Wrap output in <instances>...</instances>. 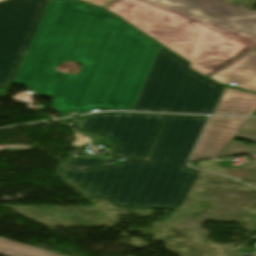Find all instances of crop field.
I'll return each mask as SVG.
<instances>
[{
	"label": "crop field",
	"mask_w": 256,
	"mask_h": 256,
	"mask_svg": "<svg viewBox=\"0 0 256 256\" xmlns=\"http://www.w3.org/2000/svg\"><path fill=\"white\" fill-rule=\"evenodd\" d=\"M86 190H89V191H96V190L93 189V188H87Z\"/></svg>",
	"instance_id": "18"
},
{
	"label": "crop field",
	"mask_w": 256,
	"mask_h": 256,
	"mask_svg": "<svg viewBox=\"0 0 256 256\" xmlns=\"http://www.w3.org/2000/svg\"><path fill=\"white\" fill-rule=\"evenodd\" d=\"M256 110V95L225 88L213 114L251 115Z\"/></svg>",
	"instance_id": "10"
},
{
	"label": "crop field",
	"mask_w": 256,
	"mask_h": 256,
	"mask_svg": "<svg viewBox=\"0 0 256 256\" xmlns=\"http://www.w3.org/2000/svg\"><path fill=\"white\" fill-rule=\"evenodd\" d=\"M166 116L99 113L88 115L82 129L111 138L113 157L146 159ZM206 118L169 115L149 161L82 169L104 163L72 157L67 165L61 163L57 175L85 199L105 198L119 208L177 209L199 171L174 163H186Z\"/></svg>",
	"instance_id": "1"
},
{
	"label": "crop field",
	"mask_w": 256,
	"mask_h": 256,
	"mask_svg": "<svg viewBox=\"0 0 256 256\" xmlns=\"http://www.w3.org/2000/svg\"><path fill=\"white\" fill-rule=\"evenodd\" d=\"M104 8L188 61L205 22L256 16L223 0H114Z\"/></svg>",
	"instance_id": "3"
},
{
	"label": "crop field",
	"mask_w": 256,
	"mask_h": 256,
	"mask_svg": "<svg viewBox=\"0 0 256 256\" xmlns=\"http://www.w3.org/2000/svg\"><path fill=\"white\" fill-rule=\"evenodd\" d=\"M256 49V48H255Z\"/></svg>",
	"instance_id": "21"
},
{
	"label": "crop field",
	"mask_w": 256,
	"mask_h": 256,
	"mask_svg": "<svg viewBox=\"0 0 256 256\" xmlns=\"http://www.w3.org/2000/svg\"><path fill=\"white\" fill-rule=\"evenodd\" d=\"M5 147H14V148H30V147H17V146H0V149Z\"/></svg>",
	"instance_id": "15"
},
{
	"label": "crop field",
	"mask_w": 256,
	"mask_h": 256,
	"mask_svg": "<svg viewBox=\"0 0 256 256\" xmlns=\"http://www.w3.org/2000/svg\"><path fill=\"white\" fill-rule=\"evenodd\" d=\"M176 164L181 165V166H186V164L183 161H177Z\"/></svg>",
	"instance_id": "16"
},
{
	"label": "crop field",
	"mask_w": 256,
	"mask_h": 256,
	"mask_svg": "<svg viewBox=\"0 0 256 256\" xmlns=\"http://www.w3.org/2000/svg\"><path fill=\"white\" fill-rule=\"evenodd\" d=\"M83 1H86V2L92 3L94 5L103 7V6H105L106 4L110 3L113 0H83Z\"/></svg>",
	"instance_id": "13"
},
{
	"label": "crop field",
	"mask_w": 256,
	"mask_h": 256,
	"mask_svg": "<svg viewBox=\"0 0 256 256\" xmlns=\"http://www.w3.org/2000/svg\"><path fill=\"white\" fill-rule=\"evenodd\" d=\"M47 1L0 2V87L11 84Z\"/></svg>",
	"instance_id": "7"
},
{
	"label": "crop field",
	"mask_w": 256,
	"mask_h": 256,
	"mask_svg": "<svg viewBox=\"0 0 256 256\" xmlns=\"http://www.w3.org/2000/svg\"><path fill=\"white\" fill-rule=\"evenodd\" d=\"M248 118L212 117L190 160L217 158Z\"/></svg>",
	"instance_id": "8"
},
{
	"label": "crop field",
	"mask_w": 256,
	"mask_h": 256,
	"mask_svg": "<svg viewBox=\"0 0 256 256\" xmlns=\"http://www.w3.org/2000/svg\"><path fill=\"white\" fill-rule=\"evenodd\" d=\"M222 89L161 48L134 111L211 114Z\"/></svg>",
	"instance_id": "5"
},
{
	"label": "crop field",
	"mask_w": 256,
	"mask_h": 256,
	"mask_svg": "<svg viewBox=\"0 0 256 256\" xmlns=\"http://www.w3.org/2000/svg\"><path fill=\"white\" fill-rule=\"evenodd\" d=\"M90 10L114 16L74 0H50L12 83L51 99L63 76L55 66L68 60Z\"/></svg>",
	"instance_id": "4"
},
{
	"label": "crop field",
	"mask_w": 256,
	"mask_h": 256,
	"mask_svg": "<svg viewBox=\"0 0 256 256\" xmlns=\"http://www.w3.org/2000/svg\"><path fill=\"white\" fill-rule=\"evenodd\" d=\"M252 115L256 116V111Z\"/></svg>",
	"instance_id": "19"
},
{
	"label": "crop field",
	"mask_w": 256,
	"mask_h": 256,
	"mask_svg": "<svg viewBox=\"0 0 256 256\" xmlns=\"http://www.w3.org/2000/svg\"><path fill=\"white\" fill-rule=\"evenodd\" d=\"M256 46V17L206 23L191 68L210 76Z\"/></svg>",
	"instance_id": "6"
},
{
	"label": "crop field",
	"mask_w": 256,
	"mask_h": 256,
	"mask_svg": "<svg viewBox=\"0 0 256 256\" xmlns=\"http://www.w3.org/2000/svg\"><path fill=\"white\" fill-rule=\"evenodd\" d=\"M0 1H3V0H0Z\"/></svg>",
	"instance_id": "20"
},
{
	"label": "crop field",
	"mask_w": 256,
	"mask_h": 256,
	"mask_svg": "<svg viewBox=\"0 0 256 256\" xmlns=\"http://www.w3.org/2000/svg\"><path fill=\"white\" fill-rule=\"evenodd\" d=\"M1 151H27L26 149H4Z\"/></svg>",
	"instance_id": "14"
},
{
	"label": "crop field",
	"mask_w": 256,
	"mask_h": 256,
	"mask_svg": "<svg viewBox=\"0 0 256 256\" xmlns=\"http://www.w3.org/2000/svg\"><path fill=\"white\" fill-rule=\"evenodd\" d=\"M211 78L227 84L234 82L242 88L256 92V50H252Z\"/></svg>",
	"instance_id": "9"
},
{
	"label": "crop field",
	"mask_w": 256,
	"mask_h": 256,
	"mask_svg": "<svg viewBox=\"0 0 256 256\" xmlns=\"http://www.w3.org/2000/svg\"><path fill=\"white\" fill-rule=\"evenodd\" d=\"M1 256H61L39 248L13 242L0 237Z\"/></svg>",
	"instance_id": "12"
},
{
	"label": "crop field",
	"mask_w": 256,
	"mask_h": 256,
	"mask_svg": "<svg viewBox=\"0 0 256 256\" xmlns=\"http://www.w3.org/2000/svg\"><path fill=\"white\" fill-rule=\"evenodd\" d=\"M235 137L256 142V118H249ZM250 154H256V145L245 146L233 140L220 158Z\"/></svg>",
	"instance_id": "11"
},
{
	"label": "crop field",
	"mask_w": 256,
	"mask_h": 256,
	"mask_svg": "<svg viewBox=\"0 0 256 256\" xmlns=\"http://www.w3.org/2000/svg\"><path fill=\"white\" fill-rule=\"evenodd\" d=\"M160 48L119 18L91 11L68 60L84 63L77 76L64 74L56 111L133 110Z\"/></svg>",
	"instance_id": "2"
},
{
	"label": "crop field",
	"mask_w": 256,
	"mask_h": 256,
	"mask_svg": "<svg viewBox=\"0 0 256 256\" xmlns=\"http://www.w3.org/2000/svg\"><path fill=\"white\" fill-rule=\"evenodd\" d=\"M251 157L255 160V165H256V155H251Z\"/></svg>",
	"instance_id": "17"
}]
</instances>
